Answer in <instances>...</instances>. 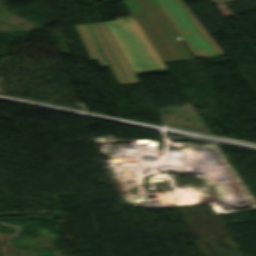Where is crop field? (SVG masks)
Here are the masks:
<instances>
[{"label":"crop field","mask_w":256,"mask_h":256,"mask_svg":"<svg viewBox=\"0 0 256 256\" xmlns=\"http://www.w3.org/2000/svg\"><path fill=\"white\" fill-rule=\"evenodd\" d=\"M164 63L192 59L154 0H125Z\"/></svg>","instance_id":"obj_1"},{"label":"crop field","mask_w":256,"mask_h":256,"mask_svg":"<svg viewBox=\"0 0 256 256\" xmlns=\"http://www.w3.org/2000/svg\"><path fill=\"white\" fill-rule=\"evenodd\" d=\"M105 24L135 74L167 70L135 18Z\"/></svg>","instance_id":"obj_2"},{"label":"crop field","mask_w":256,"mask_h":256,"mask_svg":"<svg viewBox=\"0 0 256 256\" xmlns=\"http://www.w3.org/2000/svg\"><path fill=\"white\" fill-rule=\"evenodd\" d=\"M101 48V53L111 68L119 84L139 83L136 75L121 53L114 39L107 30L104 22L89 24ZM91 59H98L101 66H106L98 47L86 24L75 26Z\"/></svg>","instance_id":"obj_3"},{"label":"crop field","mask_w":256,"mask_h":256,"mask_svg":"<svg viewBox=\"0 0 256 256\" xmlns=\"http://www.w3.org/2000/svg\"><path fill=\"white\" fill-rule=\"evenodd\" d=\"M196 58L223 55L181 0H155Z\"/></svg>","instance_id":"obj_4"},{"label":"crop field","mask_w":256,"mask_h":256,"mask_svg":"<svg viewBox=\"0 0 256 256\" xmlns=\"http://www.w3.org/2000/svg\"><path fill=\"white\" fill-rule=\"evenodd\" d=\"M213 5L228 2V1H233V0H210Z\"/></svg>","instance_id":"obj_5"},{"label":"crop field","mask_w":256,"mask_h":256,"mask_svg":"<svg viewBox=\"0 0 256 256\" xmlns=\"http://www.w3.org/2000/svg\"><path fill=\"white\" fill-rule=\"evenodd\" d=\"M105 1H110V0H105Z\"/></svg>","instance_id":"obj_6"}]
</instances>
